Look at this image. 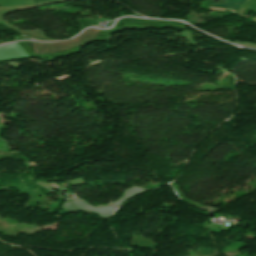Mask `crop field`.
Returning a JSON list of instances; mask_svg holds the SVG:
<instances>
[{"mask_svg": "<svg viewBox=\"0 0 256 256\" xmlns=\"http://www.w3.org/2000/svg\"><path fill=\"white\" fill-rule=\"evenodd\" d=\"M34 3H38V2H44V1H48V0H33Z\"/></svg>", "mask_w": 256, "mask_h": 256, "instance_id": "crop-field-3", "label": "crop field"}, {"mask_svg": "<svg viewBox=\"0 0 256 256\" xmlns=\"http://www.w3.org/2000/svg\"><path fill=\"white\" fill-rule=\"evenodd\" d=\"M224 1L241 5V4H243L247 0H224Z\"/></svg>", "mask_w": 256, "mask_h": 256, "instance_id": "crop-field-2", "label": "crop field"}, {"mask_svg": "<svg viewBox=\"0 0 256 256\" xmlns=\"http://www.w3.org/2000/svg\"><path fill=\"white\" fill-rule=\"evenodd\" d=\"M209 7L227 8V9H230V10H233V11H236L239 8V6L232 5V4H229V3L209 4ZM217 8H209V9L227 11V9H217Z\"/></svg>", "mask_w": 256, "mask_h": 256, "instance_id": "crop-field-1", "label": "crop field"}]
</instances>
